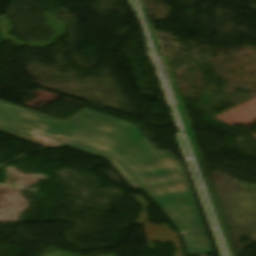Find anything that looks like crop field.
Wrapping results in <instances>:
<instances>
[{
	"label": "crop field",
	"instance_id": "1",
	"mask_svg": "<svg viewBox=\"0 0 256 256\" xmlns=\"http://www.w3.org/2000/svg\"><path fill=\"white\" fill-rule=\"evenodd\" d=\"M117 123L132 178L171 216L190 254L211 253L184 166L168 150L160 151L136 124Z\"/></svg>",
	"mask_w": 256,
	"mask_h": 256
},
{
	"label": "crop field",
	"instance_id": "2",
	"mask_svg": "<svg viewBox=\"0 0 256 256\" xmlns=\"http://www.w3.org/2000/svg\"><path fill=\"white\" fill-rule=\"evenodd\" d=\"M0 119L58 139H63V141L0 121V132L2 133L24 140L30 137H38L46 141L63 144L95 154L107 159L132 183L131 178L112 157L65 142L68 141L99 152H105L115 157L120 165L130 174L116 119L114 117L83 109L63 121L0 100Z\"/></svg>",
	"mask_w": 256,
	"mask_h": 256
},
{
	"label": "crop field",
	"instance_id": "3",
	"mask_svg": "<svg viewBox=\"0 0 256 256\" xmlns=\"http://www.w3.org/2000/svg\"><path fill=\"white\" fill-rule=\"evenodd\" d=\"M27 141H30V142L35 143V144H38V145L43 146V147H45V146H47L49 144H53V143H50V142H46V141L40 140L38 138H31V139H29Z\"/></svg>",
	"mask_w": 256,
	"mask_h": 256
},
{
	"label": "crop field",
	"instance_id": "4",
	"mask_svg": "<svg viewBox=\"0 0 256 256\" xmlns=\"http://www.w3.org/2000/svg\"><path fill=\"white\" fill-rule=\"evenodd\" d=\"M134 185H135V188H137L138 186L135 184V182L133 181Z\"/></svg>",
	"mask_w": 256,
	"mask_h": 256
}]
</instances>
